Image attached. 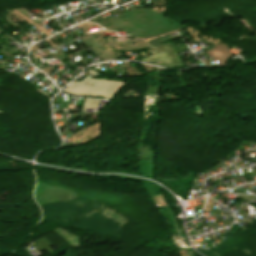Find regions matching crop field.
Listing matches in <instances>:
<instances>
[{"mask_svg": "<svg viewBox=\"0 0 256 256\" xmlns=\"http://www.w3.org/2000/svg\"><path fill=\"white\" fill-rule=\"evenodd\" d=\"M166 40H169V39L167 38L166 35H164V36H161L159 38L149 40L147 42L149 43V45H153V44H156V43H159V42H163V41H166Z\"/></svg>", "mask_w": 256, "mask_h": 256, "instance_id": "obj_1", "label": "crop field"}]
</instances>
